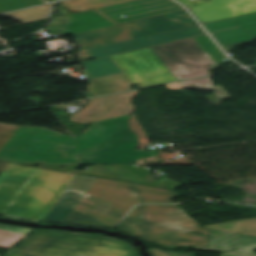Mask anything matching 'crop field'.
Segmentation results:
<instances>
[{
  "instance_id": "32",
  "label": "crop field",
  "mask_w": 256,
  "mask_h": 256,
  "mask_svg": "<svg viewBox=\"0 0 256 256\" xmlns=\"http://www.w3.org/2000/svg\"><path fill=\"white\" fill-rule=\"evenodd\" d=\"M56 8H57L63 15L70 14L69 11H67L66 9H64L63 7H61L60 5H58Z\"/></svg>"
},
{
  "instance_id": "21",
  "label": "crop field",
  "mask_w": 256,
  "mask_h": 256,
  "mask_svg": "<svg viewBox=\"0 0 256 256\" xmlns=\"http://www.w3.org/2000/svg\"><path fill=\"white\" fill-rule=\"evenodd\" d=\"M239 234L214 230L206 248L229 251L237 246Z\"/></svg>"
},
{
  "instance_id": "11",
  "label": "crop field",
  "mask_w": 256,
  "mask_h": 256,
  "mask_svg": "<svg viewBox=\"0 0 256 256\" xmlns=\"http://www.w3.org/2000/svg\"><path fill=\"white\" fill-rule=\"evenodd\" d=\"M182 9L172 0H136L96 10L116 24H122ZM120 15L126 17L122 18Z\"/></svg>"
},
{
  "instance_id": "28",
  "label": "crop field",
  "mask_w": 256,
  "mask_h": 256,
  "mask_svg": "<svg viewBox=\"0 0 256 256\" xmlns=\"http://www.w3.org/2000/svg\"><path fill=\"white\" fill-rule=\"evenodd\" d=\"M21 126L0 124V149L19 130Z\"/></svg>"
},
{
  "instance_id": "15",
  "label": "crop field",
  "mask_w": 256,
  "mask_h": 256,
  "mask_svg": "<svg viewBox=\"0 0 256 256\" xmlns=\"http://www.w3.org/2000/svg\"><path fill=\"white\" fill-rule=\"evenodd\" d=\"M94 180L95 177L76 175L44 220L64 222Z\"/></svg>"
},
{
  "instance_id": "20",
  "label": "crop field",
  "mask_w": 256,
  "mask_h": 256,
  "mask_svg": "<svg viewBox=\"0 0 256 256\" xmlns=\"http://www.w3.org/2000/svg\"><path fill=\"white\" fill-rule=\"evenodd\" d=\"M82 64L92 76V78L121 72L109 56L83 62Z\"/></svg>"
},
{
  "instance_id": "26",
  "label": "crop field",
  "mask_w": 256,
  "mask_h": 256,
  "mask_svg": "<svg viewBox=\"0 0 256 256\" xmlns=\"http://www.w3.org/2000/svg\"><path fill=\"white\" fill-rule=\"evenodd\" d=\"M254 250H256V237L240 234L237 249L231 252L256 255L252 253Z\"/></svg>"
},
{
  "instance_id": "14",
  "label": "crop field",
  "mask_w": 256,
  "mask_h": 256,
  "mask_svg": "<svg viewBox=\"0 0 256 256\" xmlns=\"http://www.w3.org/2000/svg\"><path fill=\"white\" fill-rule=\"evenodd\" d=\"M63 19H67L72 24L69 25L65 22H59ZM114 25V23L105 19L96 11L90 10L78 14H70L53 18L50 20L48 26L45 29L49 33L62 30L66 35H70Z\"/></svg>"
},
{
  "instance_id": "37",
  "label": "crop field",
  "mask_w": 256,
  "mask_h": 256,
  "mask_svg": "<svg viewBox=\"0 0 256 256\" xmlns=\"http://www.w3.org/2000/svg\"><path fill=\"white\" fill-rule=\"evenodd\" d=\"M6 217V216H4ZM10 218H13V217H10ZM14 219H20V218H14ZM21 220H27V219H21ZM30 221H33V220H30Z\"/></svg>"
},
{
  "instance_id": "17",
  "label": "crop field",
  "mask_w": 256,
  "mask_h": 256,
  "mask_svg": "<svg viewBox=\"0 0 256 256\" xmlns=\"http://www.w3.org/2000/svg\"><path fill=\"white\" fill-rule=\"evenodd\" d=\"M130 80L124 73L88 80L86 89L94 96L129 90Z\"/></svg>"
},
{
  "instance_id": "25",
  "label": "crop field",
  "mask_w": 256,
  "mask_h": 256,
  "mask_svg": "<svg viewBox=\"0 0 256 256\" xmlns=\"http://www.w3.org/2000/svg\"><path fill=\"white\" fill-rule=\"evenodd\" d=\"M194 39L217 64L227 59L207 35L195 37Z\"/></svg>"
},
{
  "instance_id": "2",
  "label": "crop field",
  "mask_w": 256,
  "mask_h": 256,
  "mask_svg": "<svg viewBox=\"0 0 256 256\" xmlns=\"http://www.w3.org/2000/svg\"><path fill=\"white\" fill-rule=\"evenodd\" d=\"M176 197L172 190L96 178L65 222L114 227L137 203H172Z\"/></svg>"
},
{
  "instance_id": "1",
  "label": "crop field",
  "mask_w": 256,
  "mask_h": 256,
  "mask_svg": "<svg viewBox=\"0 0 256 256\" xmlns=\"http://www.w3.org/2000/svg\"><path fill=\"white\" fill-rule=\"evenodd\" d=\"M74 176L9 163L0 174V214L43 220Z\"/></svg>"
},
{
  "instance_id": "12",
  "label": "crop field",
  "mask_w": 256,
  "mask_h": 256,
  "mask_svg": "<svg viewBox=\"0 0 256 256\" xmlns=\"http://www.w3.org/2000/svg\"><path fill=\"white\" fill-rule=\"evenodd\" d=\"M178 1L187 6L201 23L256 12V0Z\"/></svg>"
},
{
  "instance_id": "8",
  "label": "crop field",
  "mask_w": 256,
  "mask_h": 256,
  "mask_svg": "<svg viewBox=\"0 0 256 256\" xmlns=\"http://www.w3.org/2000/svg\"><path fill=\"white\" fill-rule=\"evenodd\" d=\"M162 63L176 75L187 79L209 75V69L217 64L193 38L150 48ZM213 67H207L208 65Z\"/></svg>"
},
{
  "instance_id": "36",
  "label": "crop field",
  "mask_w": 256,
  "mask_h": 256,
  "mask_svg": "<svg viewBox=\"0 0 256 256\" xmlns=\"http://www.w3.org/2000/svg\"><path fill=\"white\" fill-rule=\"evenodd\" d=\"M176 78H177L178 80L186 79V77H185V76H176Z\"/></svg>"
},
{
  "instance_id": "34",
  "label": "crop field",
  "mask_w": 256,
  "mask_h": 256,
  "mask_svg": "<svg viewBox=\"0 0 256 256\" xmlns=\"http://www.w3.org/2000/svg\"><path fill=\"white\" fill-rule=\"evenodd\" d=\"M7 164H8L7 162H1L0 161V173L6 167Z\"/></svg>"
},
{
  "instance_id": "4",
  "label": "crop field",
  "mask_w": 256,
  "mask_h": 256,
  "mask_svg": "<svg viewBox=\"0 0 256 256\" xmlns=\"http://www.w3.org/2000/svg\"><path fill=\"white\" fill-rule=\"evenodd\" d=\"M129 116L92 123L75 138L82 164L138 165L155 153L136 151L138 139L127 128Z\"/></svg>"
},
{
  "instance_id": "22",
  "label": "crop field",
  "mask_w": 256,
  "mask_h": 256,
  "mask_svg": "<svg viewBox=\"0 0 256 256\" xmlns=\"http://www.w3.org/2000/svg\"><path fill=\"white\" fill-rule=\"evenodd\" d=\"M131 0H69L62 2L63 6L69 8L74 13L92 9L99 8L103 6L113 5L117 3L127 2Z\"/></svg>"
},
{
  "instance_id": "30",
  "label": "crop field",
  "mask_w": 256,
  "mask_h": 256,
  "mask_svg": "<svg viewBox=\"0 0 256 256\" xmlns=\"http://www.w3.org/2000/svg\"><path fill=\"white\" fill-rule=\"evenodd\" d=\"M239 27L256 24V13L231 19Z\"/></svg>"
},
{
  "instance_id": "23",
  "label": "crop field",
  "mask_w": 256,
  "mask_h": 256,
  "mask_svg": "<svg viewBox=\"0 0 256 256\" xmlns=\"http://www.w3.org/2000/svg\"><path fill=\"white\" fill-rule=\"evenodd\" d=\"M29 232L26 228L0 224V247L9 248Z\"/></svg>"
},
{
  "instance_id": "27",
  "label": "crop field",
  "mask_w": 256,
  "mask_h": 256,
  "mask_svg": "<svg viewBox=\"0 0 256 256\" xmlns=\"http://www.w3.org/2000/svg\"><path fill=\"white\" fill-rule=\"evenodd\" d=\"M148 252L151 254V256H195V254L165 251V250H159L157 248H148ZM219 256H251V255L220 253Z\"/></svg>"
},
{
  "instance_id": "29",
  "label": "crop field",
  "mask_w": 256,
  "mask_h": 256,
  "mask_svg": "<svg viewBox=\"0 0 256 256\" xmlns=\"http://www.w3.org/2000/svg\"><path fill=\"white\" fill-rule=\"evenodd\" d=\"M203 26L206 28V30L209 33H212V32H216V31L236 27L237 25L235 23H233L230 19H227V20H223V21L205 24Z\"/></svg>"
},
{
  "instance_id": "6",
  "label": "crop field",
  "mask_w": 256,
  "mask_h": 256,
  "mask_svg": "<svg viewBox=\"0 0 256 256\" xmlns=\"http://www.w3.org/2000/svg\"><path fill=\"white\" fill-rule=\"evenodd\" d=\"M196 25L198 24L186 11H180L75 36L86 49H89Z\"/></svg>"
},
{
  "instance_id": "9",
  "label": "crop field",
  "mask_w": 256,
  "mask_h": 256,
  "mask_svg": "<svg viewBox=\"0 0 256 256\" xmlns=\"http://www.w3.org/2000/svg\"><path fill=\"white\" fill-rule=\"evenodd\" d=\"M153 53L146 48L110 57L132 83H139L141 87L176 81Z\"/></svg>"
},
{
  "instance_id": "5",
  "label": "crop field",
  "mask_w": 256,
  "mask_h": 256,
  "mask_svg": "<svg viewBox=\"0 0 256 256\" xmlns=\"http://www.w3.org/2000/svg\"><path fill=\"white\" fill-rule=\"evenodd\" d=\"M16 164H81L75 140L47 128L24 127L0 150Z\"/></svg>"
},
{
  "instance_id": "33",
  "label": "crop field",
  "mask_w": 256,
  "mask_h": 256,
  "mask_svg": "<svg viewBox=\"0 0 256 256\" xmlns=\"http://www.w3.org/2000/svg\"><path fill=\"white\" fill-rule=\"evenodd\" d=\"M190 249L219 252V251H217V250H213V249H204V248H200V247H191Z\"/></svg>"
},
{
  "instance_id": "7",
  "label": "crop field",
  "mask_w": 256,
  "mask_h": 256,
  "mask_svg": "<svg viewBox=\"0 0 256 256\" xmlns=\"http://www.w3.org/2000/svg\"><path fill=\"white\" fill-rule=\"evenodd\" d=\"M199 227L176 205H140L117 231L140 238Z\"/></svg>"
},
{
  "instance_id": "3",
  "label": "crop field",
  "mask_w": 256,
  "mask_h": 256,
  "mask_svg": "<svg viewBox=\"0 0 256 256\" xmlns=\"http://www.w3.org/2000/svg\"><path fill=\"white\" fill-rule=\"evenodd\" d=\"M12 250L21 256H140L133 246L113 238L41 229Z\"/></svg>"
},
{
  "instance_id": "18",
  "label": "crop field",
  "mask_w": 256,
  "mask_h": 256,
  "mask_svg": "<svg viewBox=\"0 0 256 256\" xmlns=\"http://www.w3.org/2000/svg\"><path fill=\"white\" fill-rule=\"evenodd\" d=\"M227 52L233 44L249 41L256 38V25L236 27L211 34Z\"/></svg>"
},
{
  "instance_id": "13",
  "label": "crop field",
  "mask_w": 256,
  "mask_h": 256,
  "mask_svg": "<svg viewBox=\"0 0 256 256\" xmlns=\"http://www.w3.org/2000/svg\"><path fill=\"white\" fill-rule=\"evenodd\" d=\"M204 34H205L204 31L199 26H196V27L156 34V35H152L149 37L140 38L136 40L126 41V42L98 47L94 49H89L88 51L93 56V58L96 59V58H100V57L111 55V54L129 52L137 49L169 43V42L182 40L190 37H195L199 35H204Z\"/></svg>"
},
{
  "instance_id": "35",
  "label": "crop field",
  "mask_w": 256,
  "mask_h": 256,
  "mask_svg": "<svg viewBox=\"0 0 256 256\" xmlns=\"http://www.w3.org/2000/svg\"><path fill=\"white\" fill-rule=\"evenodd\" d=\"M5 256H20V255H18L17 253H15L14 251L11 250Z\"/></svg>"
},
{
  "instance_id": "16",
  "label": "crop field",
  "mask_w": 256,
  "mask_h": 256,
  "mask_svg": "<svg viewBox=\"0 0 256 256\" xmlns=\"http://www.w3.org/2000/svg\"><path fill=\"white\" fill-rule=\"evenodd\" d=\"M189 231L200 233L203 235H211L213 230L204 229V228H196L189 229L169 234H163L148 238H143L142 240L154 244L161 245L166 248H187L190 246H201L206 247L208 242V237L206 236H196L194 234L189 233Z\"/></svg>"
},
{
  "instance_id": "19",
  "label": "crop field",
  "mask_w": 256,
  "mask_h": 256,
  "mask_svg": "<svg viewBox=\"0 0 256 256\" xmlns=\"http://www.w3.org/2000/svg\"><path fill=\"white\" fill-rule=\"evenodd\" d=\"M180 84L185 89L208 90L214 92L215 94L213 95L205 96V98L213 105L220 104L222 103V101L220 100L231 97L221 86H215L213 88H210V86L212 85V81L209 79V77L188 80L180 82Z\"/></svg>"
},
{
  "instance_id": "10",
  "label": "crop field",
  "mask_w": 256,
  "mask_h": 256,
  "mask_svg": "<svg viewBox=\"0 0 256 256\" xmlns=\"http://www.w3.org/2000/svg\"><path fill=\"white\" fill-rule=\"evenodd\" d=\"M138 91L91 99L82 110L72 115L70 120L79 124L98 122L129 115L134 110L131 98Z\"/></svg>"
},
{
  "instance_id": "24",
  "label": "crop field",
  "mask_w": 256,
  "mask_h": 256,
  "mask_svg": "<svg viewBox=\"0 0 256 256\" xmlns=\"http://www.w3.org/2000/svg\"><path fill=\"white\" fill-rule=\"evenodd\" d=\"M50 6V4H46L32 9L8 13L7 15L12 16L25 23L43 20L47 18Z\"/></svg>"
},
{
  "instance_id": "31",
  "label": "crop field",
  "mask_w": 256,
  "mask_h": 256,
  "mask_svg": "<svg viewBox=\"0 0 256 256\" xmlns=\"http://www.w3.org/2000/svg\"><path fill=\"white\" fill-rule=\"evenodd\" d=\"M168 89H184L179 83L166 85Z\"/></svg>"
},
{
  "instance_id": "38",
  "label": "crop field",
  "mask_w": 256,
  "mask_h": 256,
  "mask_svg": "<svg viewBox=\"0 0 256 256\" xmlns=\"http://www.w3.org/2000/svg\"><path fill=\"white\" fill-rule=\"evenodd\" d=\"M50 1H54V0H50Z\"/></svg>"
}]
</instances>
